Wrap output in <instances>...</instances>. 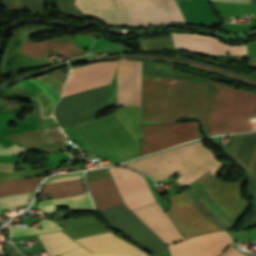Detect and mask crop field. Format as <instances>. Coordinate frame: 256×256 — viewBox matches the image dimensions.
<instances>
[{"instance_id": "92a150f3", "label": "crop field", "mask_w": 256, "mask_h": 256, "mask_svg": "<svg viewBox=\"0 0 256 256\" xmlns=\"http://www.w3.org/2000/svg\"><path fill=\"white\" fill-rule=\"evenodd\" d=\"M44 177L0 181V197L35 191Z\"/></svg>"}, {"instance_id": "22f410ed", "label": "crop field", "mask_w": 256, "mask_h": 256, "mask_svg": "<svg viewBox=\"0 0 256 256\" xmlns=\"http://www.w3.org/2000/svg\"><path fill=\"white\" fill-rule=\"evenodd\" d=\"M227 152L237 159L251 175V195L255 204L254 214L244 222H256V132L231 136Z\"/></svg>"}, {"instance_id": "f4fd0767", "label": "crop field", "mask_w": 256, "mask_h": 256, "mask_svg": "<svg viewBox=\"0 0 256 256\" xmlns=\"http://www.w3.org/2000/svg\"><path fill=\"white\" fill-rule=\"evenodd\" d=\"M256 118V93L209 80L208 134L250 130Z\"/></svg>"}, {"instance_id": "730fd06b", "label": "crop field", "mask_w": 256, "mask_h": 256, "mask_svg": "<svg viewBox=\"0 0 256 256\" xmlns=\"http://www.w3.org/2000/svg\"><path fill=\"white\" fill-rule=\"evenodd\" d=\"M27 152H31L30 150L24 149L17 145L11 146L6 149H0V155H16V154H24Z\"/></svg>"}, {"instance_id": "e52e79f7", "label": "crop field", "mask_w": 256, "mask_h": 256, "mask_svg": "<svg viewBox=\"0 0 256 256\" xmlns=\"http://www.w3.org/2000/svg\"><path fill=\"white\" fill-rule=\"evenodd\" d=\"M143 127L142 155L162 150L200 136L197 122Z\"/></svg>"}, {"instance_id": "dafd665d", "label": "crop field", "mask_w": 256, "mask_h": 256, "mask_svg": "<svg viewBox=\"0 0 256 256\" xmlns=\"http://www.w3.org/2000/svg\"><path fill=\"white\" fill-rule=\"evenodd\" d=\"M49 191H52L54 199L86 192L82 179L44 185L40 193Z\"/></svg>"}, {"instance_id": "d8731c3e", "label": "crop field", "mask_w": 256, "mask_h": 256, "mask_svg": "<svg viewBox=\"0 0 256 256\" xmlns=\"http://www.w3.org/2000/svg\"><path fill=\"white\" fill-rule=\"evenodd\" d=\"M117 61L98 62L91 65L74 68L67 80L63 96L109 84Z\"/></svg>"}, {"instance_id": "d9b57169", "label": "crop field", "mask_w": 256, "mask_h": 256, "mask_svg": "<svg viewBox=\"0 0 256 256\" xmlns=\"http://www.w3.org/2000/svg\"><path fill=\"white\" fill-rule=\"evenodd\" d=\"M83 247L94 252H117L135 256H147L129 242L111 232L76 239Z\"/></svg>"}, {"instance_id": "733c2abd", "label": "crop field", "mask_w": 256, "mask_h": 256, "mask_svg": "<svg viewBox=\"0 0 256 256\" xmlns=\"http://www.w3.org/2000/svg\"><path fill=\"white\" fill-rule=\"evenodd\" d=\"M53 49L67 58L86 54L68 39L59 42L56 38H54L46 41L33 43L30 41L29 36L23 40L20 52L41 60Z\"/></svg>"}, {"instance_id": "ac0d7876", "label": "crop field", "mask_w": 256, "mask_h": 256, "mask_svg": "<svg viewBox=\"0 0 256 256\" xmlns=\"http://www.w3.org/2000/svg\"><path fill=\"white\" fill-rule=\"evenodd\" d=\"M147 26L164 22L186 23L175 0H131ZM130 0H75L85 14L106 24L146 27Z\"/></svg>"}, {"instance_id": "d32e631a", "label": "crop field", "mask_w": 256, "mask_h": 256, "mask_svg": "<svg viewBox=\"0 0 256 256\" xmlns=\"http://www.w3.org/2000/svg\"><path fill=\"white\" fill-rule=\"evenodd\" d=\"M250 4H256V0H250Z\"/></svg>"}, {"instance_id": "00972430", "label": "crop field", "mask_w": 256, "mask_h": 256, "mask_svg": "<svg viewBox=\"0 0 256 256\" xmlns=\"http://www.w3.org/2000/svg\"><path fill=\"white\" fill-rule=\"evenodd\" d=\"M39 223L44 229L10 227L12 231L11 236H28L46 231L62 230V228L52 220L41 219Z\"/></svg>"}, {"instance_id": "bc2a9ffb", "label": "crop field", "mask_w": 256, "mask_h": 256, "mask_svg": "<svg viewBox=\"0 0 256 256\" xmlns=\"http://www.w3.org/2000/svg\"><path fill=\"white\" fill-rule=\"evenodd\" d=\"M50 256L65 253L80 247L61 231L38 235Z\"/></svg>"}, {"instance_id": "d1516ede", "label": "crop field", "mask_w": 256, "mask_h": 256, "mask_svg": "<svg viewBox=\"0 0 256 256\" xmlns=\"http://www.w3.org/2000/svg\"><path fill=\"white\" fill-rule=\"evenodd\" d=\"M141 62L119 59L117 105L140 106Z\"/></svg>"}, {"instance_id": "412701ff", "label": "crop field", "mask_w": 256, "mask_h": 256, "mask_svg": "<svg viewBox=\"0 0 256 256\" xmlns=\"http://www.w3.org/2000/svg\"><path fill=\"white\" fill-rule=\"evenodd\" d=\"M126 165L159 180L168 178L176 171L181 175L175 185L190 183L208 170L214 175L222 167L201 141L128 162Z\"/></svg>"}, {"instance_id": "214f88e0", "label": "crop field", "mask_w": 256, "mask_h": 256, "mask_svg": "<svg viewBox=\"0 0 256 256\" xmlns=\"http://www.w3.org/2000/svg\"><path fill=\"white\" fill-rule=\"evenodd\" d=\"M63 203L69 206L70 211L95 210L88 193L57 200L41 201L38 208L44 212L55 210V204Z\"/></svg>"}, {"instance_id": "1d83c4d3", "label": "crop field", "mask_w": 256, "mask_h": 256, "mask_svg": "<svg viewBox=\"0 0 256 256\" xmlns=\"http://www.w3.org/2000/svg\"><path fill=\"white\" fill-rule=\"evenodd\" d=\"M57 3H73L74 0H56Z\"/></svg>"}, {"instance_id": "750c4746", "label": "crop field", "mask_w": 256, "mask_h": 256, "mask_svg": "<svg viewBox=\"0 0 256 256\" xmlns=\"http://www.w3.org/2000/svg\"><path fill=\"white\" fill-rule=\"evenodd\" d=\"M6 251L10 256H21L12 245L10 246V248H7Z\"/></svg>"}, {"instance_id": "3316defc", "label": "crop field", "mask_w": 256, "mask_h": 256, "mask_svg": "<svg viewBox=\"0 0 256 256\" xmlns=\"http://www.w3.org/2000/svg\"><path fill=\"white\" fill-rule=\"evenodd\" d=\"M212 199L237 220L245 212L248 203L240 197V184H222L209 171L197 179Z\"/></svg>"}, {"instance_id": "5866460e", "label": "crop field", "mask_w": 256, "mask_h": 256, "mask_svg": "<svg viewBox=\"0 0 256 256\" xmlns=\"http://www.w3.org/2000/svg\"><path fill=\"white\" fill-rule=\"evenodd\" d=\"M0 148H3V147L0 145Z\"/></svg>"}, {"instance_id": "dd49c442", "label": "crop field", "mask_w": 256, "mask_h": 256, "mask_svg": "<svg viewBox=\"0 0 256 256\" xmlns=\"http://www.w3.org/2000/svg\"><path fill=\"white\" fill-rule=\"evenodd\" d=\"M109 85L63 97L54 109L61 128L95 119L103 108Z\"/></svg>"}, {"instance_id": "28ad6ade", "label": "crop field", "mask_w": 256, "mask_h": 256, "mask_svg": "<svg viewBox=\"0 0 256 256\" xmlns=\"http://www.w3.org/2000/svg\"><path fill=\"white\" fill-rule=\"evenodd\" d=\"M226 231L196 236L190 239L193 251L197 256H219L231 242ZM189 239L167 246L172 256H196Z\"/></svg>"}, {"instance_id": "d3111659", "label": "crop field", "mask_w": 256, "mask_h": 256, "mask_svg": "<svg viewBox=\"0 0 256 256\" xmlns=\"http://www.w3.org/2000/svg\"><path fill=\"white\" fill-rule=\"evenodd\" d=\"M222 256H244V255L230 247Z\"/></svg>"}, {"instance_id": "5a996713", "label": "crop field", "mask_w": 256, "mask_h": 256, "mask_svg": "<svg viewBox=\"0 0 256 256\" xmlns=\"http://www.w3.org/2000/svg\"><path fill=\"white\" fill-rule=\"evenodd\" d=\"M107 169L130 210L155 202L142 175L122 167Z\"/></svg>"}, {"instance_id": "4177f3b9", "label": "crop field", "mask_w": 256, "mask_h": 256, "mask_svg": "<svg viewBox=\"0 0 256 256\" xmlns=\"http://www.w3.org/2000/svg\"><path fill=\"white\" fill-rule=\"evenodd\" d=\"M62 256H130L124 254H93L86 250L85 248L81 247L75 251L68 252Z\"/></svg>"}, {"instance_id": "bd1437ed", "label": "crop field", "mask_w": 256, "mask_h": 256, "mask_svg": "<svg viewBox=\"0 0 256 256\" xmlns=\"http://www.w3.org/2000/svg\"><path fill=\"white\" fill-rule=\"evenodd\" d=\"M218 2L249 3V0H211Z\"/></svg>"}, {"instance_id": "5142ce71", "label": "crop field", "mask_w": 256, "mask_h": 256, "mask_svg": "<svg viewBox=\"0 0 256 256\" xmlns=\"http://www.w3.org/2000/svg\"><path fill=\"white\" fill-rule=\"evenodd\" d=\"M172 36L175 47L181 49L207 54H247L246 45L226 46L215 39L199 35L172 33Z\"/></svg>"}, {"instance_id": "eef30255", "label": "crop field", "mask_w": 256, "mask_h": 256, "mask_svg": "<svg viewBox=\"0 0 256 256\" xmlns=\"http://www.w3.org/2000/svg\"><path fill=\"white\" fill-rule=\"evenodd\" d=\"M83 174H84V172L83 173H74V174H70V175H63V176L53 177L50 180L46 181L44 184L61 182V181H66V180H71V179L83 178Z\"/></svg>"}, {"instance_id": "34b2d1b8", "label": "crop field", "mask_w": 256, "mask_h": 256, "mask_svg": "<svg viewBox=\"0 0 256 256\" xmlns=\"http://www.w3.org/2000/svg\"><path fill=\"white\" fill-rule=\"evenodd\" d=\"M172 209L164 213L179 236L184 239L220 231L206 216L198 211L186 193L171 197ZM133 212L166 244L181 241L176 231L163 215L158 203L141 207Z\"/></svg>"}, {"instance_id": "120bbe31", "label": "crop field", "mask_w": 256, "mask_h": 256, "mask_svg": "<svg viewBox=\"0 0 256 256\" xmlns=\"http://www.w3.org/2000/svg\"><path fill=\"white\" fill-rule=\"evenodd\" d=\"M178 4L193 1V0H176Z\"/></svg>"}, {"instance_id": "4a817a6b", "label": "crop field", "mask_w": 256, "mask_h": 256, "mask_svg": "<svg viewBox=\"0 0 256 256\" xmlns=\"http://www.w3.org/2000/svg\"><path fill=\"white\" fill-rule=\"evenodd\" d=\"M86 185L98 211L124 205L111 177L88 182Z\"/></svg>"}, {"instance_id": "ae1a2a85", "label": "crop field", "mask_w": 256, "mask_h": 256, "mask_svg": "<svg viewBox=\"0 0 256 256\" xmlns=\"http://www.w3.org/2000/svg\"><path fill=\"white\" fill-rule=\"evenodd\" d=\"M48 75L54 77L55 79L64 82V80L66 79L67 75L63 74L62 72L56 70L54 72L51 73H47Z\"/></svg>"}, {"instance_id": "8a807250", "label": "crop field", "mask_w": 256, "mask_h": 256, "mask_svg": "<svg viewBox=\"0 0 256 256\" xmlns=\"http://www.w3.org/2000/svg\"><path fill=\"white\" fill-rule=\"evenodd\" d=\"M207 84L143 76L142 121L200 120L206 130Z\"/></svg>"}, {"instance_id": "a9b5d70f", "label": "crop field", "mask_w": 256, "mask_h": 256, "mask_svg": "<svg viewBox=\"0 0 256 256\" xmlns=\"http://www.w3.org/2000/svg\"><path fill=\"white\" fill-rule=\"evenodd\" d=\"M33 193L0 198V210L27 204Z\"/></svg>"}, {"instance_id": "cbeb9de0", "label": "crop field", "mask_w": 256, "mask_h": 256, "mask_svg": "<svg viewBox=\"0 0 256 256\" xmlns=\"http://www.w3.org/2000/svg\"><path fill=\"white\" fill-rule=\"evenodd\" d=\"M4 137L27 148L49 153L62 151L65 145V136L58 126Z\"/></svg>"}]
</instances>
